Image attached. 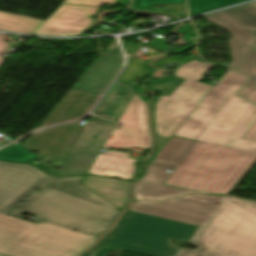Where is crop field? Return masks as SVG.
I'll use <instances>...</instances> for the list:
<instances>
[{
    "label": "crop field",
    "mask_w": 256,
    "mask_h": 256,
    "mask_svg": "<svg viewBox=\"0 0 256 256\" xmlns=\"http://www.w3.org/2000/svg\"><path fill=\"white\" fill-rule=\"evenodd\" d=\"M178 256H256V202L227 196Z\"/></svg>",
    "instance_id": "crop-field-1"
},
{
    "label": "crop field",
    "mask_w": 256,
    "mask_h": 256,
    "mask_svg": "<svg viewBox=\"0 0 256 256\" xmlns=\"http://www.w3.org/2000/svg\"><path fill=\"white\" fill-rule=\"evenodd\" d=\"M199 226L127 211L115 229L84 256H105L123 249L149 256H177L182 248L171 241L189 242Z\"/></svg>",
    "instance_id": "crop-field-2"
},
{
    "label": "crop field",
    "mask_w": 256,
    "mask_h": 256,
    "mask_svg": "<svg viewBox=\"0 0 256 256\" xmlns=\"http://www.w3.org/2000/svg\"><path fill=\"white\" fill-rule=\"evenodd\" d=\"M256 161V154L197 142L167 184L229 194Z\"/></svg>",
    "instance_id": "crop-field-3"
},
{
    "label": "crop field",
    "mask_w": 256,
    "mask_h": 256,
    "mask_svg": "<svg viewBox=\"0 0 256 256\" xmlns=\"http://www.w3.org/2000/svg\"><path fill=\"white\" fill-rule=\"evenodd\" d=\"M95 237L0 213V256H77Z\"/></svg>",
    "instance_id": "crop-field-4"
},
{
    "label": "crop field",
    "mask_w": 256,
    "mask_h": 256,
    "mask_svg": "<svg viewBox=\"0 0 256 256\" xmlns=\"http://www.w3.org/2000/svg\"><path fill=\"white\" fill-rule=\"evenodd\" d=\"M31 213L37 218L95 237L107 231L120 211L46 187L25 199L8 214Z\"/></svg>",
    "instance_id": "crop-field-5"
},
{
    "label": "crop field",
    "mask_w": 256,
    "mask_h": 256,
    "mask_svg": "<svg viewBox=\"0 0 256 256\" xmlns=\"http://www.w3.org/2000/svg\"><path fill=\"white\" fill-rule=\"evenodd\" d=\"M203 18L234 36L229 41L233 62L228 68L251 76L239 94L256 103V3Z\"/></svg>",
    "instance_id": "crop-field-6"
},
{
    "label": "crop field",
    "mask_w": 256,
    "mask_h": 256,
    "mask_svg": "<svg viewBox=\"0 0 256 256\" xmlns=\"http://www.w3.org/2000/svg\"><path fill=\"white\" fill-rule=\"evenodd\" d=\"M212 65L192 61L178 68L175 76L186 79L168 97L161 95L155 110V134L171 138L213 86L197 82ZM204 72V74H202Z\"/></svg>",
    "instance_id": "crop-field-7"
},
{
    "label": "crop field",
    "mask_w": 256,
    "mask_h": 256,
    "mask_svg": "<svg viewBox=\"0 0 256 256\" xmlns=\"http://www.w3.org/2000/svg\"><path fill=\"white\" fill-rule=\"evenodd\" d=\"M256 122V105L236 95L197 140L256 153V142L241 139Z\"/></svg>",
    "instance_id": "crop-field-8"
},
{
    "label": "crop field",
    "mask_w": 256,
    "mask_h": 256,
    "mask_svg": "<svg viewBox=\"0 0 256 256\" xmlns=\"http://www.w3.org/2000/svg\"><path fill=\"white\" fill-rule=\"evenodd\" d=\"M226 196L192 194L168 201L133 202L130 211L202 226Z\"/></svg>",
    "instance_id": "crop-field-9"
},
{
    "label": "crop field",
    "mask_w": 256,
    "mask_h": 256,
    "mask_svg": "<svg viewBox=\"0 0 256 256\" xmlns=\"http://www.w3.org/2000/svg\"><path fill=\"white\" fill-rule=\"evenodd\" d=\"M54 179L33 166L0 161V211L7 213L33 190L45 188Z\"/></svg>",
    "instance_id": "crop-field-10"
},
{
    "label": "crop field",
    "mask_w": 256,
    "mask_h": 256,
    "mask_svg": "<svg viewBox=\"0 0 256 256\" xmlns=\"http://www.w3.org/2000/svg\"><path fill=\"white\" fill-rule=\"evenodd\" d=\"M246 80V76L227 70L217 85L174 135L195 140L215 114Z\"/></svg>",
    "instance_id": "crop-field-11"
},
{
    "label": "crop field",
    "mask_w": 256,
    "mask_h": 256,
    "mask_svg": "<svg viewBox=\"0 0 256 256\" xmlns=\"http://www.w3.org/2000/svg\"><path fill=\"white\" fill-rule=\"evenodd\" d=\"M115 123L91 116L59 168L68 175L87 174Z\"/></svg>",
    "instance_id": "crop-field-12"
},
{
    "label": "crop field",
    "mask_w": 256,
    "mask_h": 256,
    "mask_svg": "<svg viewBox=\"0 0 256 256\" xmlns=\"http://www.w3.org/2000/svg\"><path fill=\"white\" fill-rule=\"evenodd\" d=\"M122 129L115 130L106 147L119 149L123 147H141L151 149L148 129L146 102L142 101L136 91L126 110L121 116Z\"/></svg>",
    "instance_id": "crop-field-13"
},
{
    "label": "crop field",
    "mask_w": 256,
    "mask_h": 256,
    "mask_svg": "<svg viewBox=\"0 0 256 256\" xmlns=\"http://www.w3.org/2000/svg\"><path fill=\"white\" fill-rule=\"evenodd\" d=\"M100 8L63 5L35 34L47 36H78L92 26Z\"/></svg>",
    "instance_id": "crop-field-14"
},
{
    "label": "crop field",
    "mask_w": 256,
    "mask_h": 256,
    "mask_svg": "<svg viewBox=\"0 0 256 256\" xmlns=\"http://www.w3.org/2000/svg\"><path fill=\"white\" fill-rule=\"evenodd\" d=\"M123 63L122 53L117 43L113 41L73 88L104 94L106 88L119 73Z\"/></svg>",
    "instance_id": "crop-field-15"
},
{
    "label": "crop field",
    "mask_w": 256,
    "mask_h": 256,
    "mask_svg": "<svg viewBox=\"0 0 256 256\" xmlns=\"http://www.w3.org/2000/svg\"><path fill=\"white\" fill-rule=\"evenodd\" d=\"M167 169L171 170L172 168L148 165L147 174L135 183V200H165L179 197L186 193L209 194L163 185L162 183L171 174L165 172Z\"/></svg>",
    "instance_id": "crop-field-16"
},
{
    "label": "crop field",
    "mask_w": 256,
    "mask_h": 256,
    "mask_svg": "<svg viewBox=\"0 0 256 256\" xmlns=\"http://www.w3.org/2000/svg\"><path fill=\"white\" fill-rule=\"evenodd\" d=\"M130 154L113 152L99 154L88 174H99L131 180L136 168L132 164L138 159L128 158Z\"/></svg>",
    "instance_id": "crop-field-17"
},
{
    "label": "crop field",
    "mask_w": 256,
    "mask_h": 256,
    "mask_svg": "<svg viewBox=\"0 0 256 256\" xmlns=\"http://www.w3.org/2000/svg\"><path fill=\"white\" fill-rule=\"evenodd\" d=\"M136 89L117 81L93 114L118 122Z\"/></svg>",
    "instance_id": "crop-field-18"
},
{
    "label": "crop field",
    "mask_w": 256,
    "mask_h": 256,
    "mask_svg": "<svg viewBox=\"0 0 256 256\" xmlns=\"http://www.w3.org/2000/svg\"><path fill=\"white\" fill-rule=\"evenodd\" d=\"M82 184L119 208H124L128 202V182L98 176H86Z\"/></svg>",
    "instance_id": "crop-field-19"
},
{
    "label": "crop field",
    "mask_w": 256,
    "mask_h": 256,
    "mask_svg": "<svg viewBox=\"0 0 256 256\" xmlns=\"http://www.w3.org/2000/svg\"><path fill=\"white\" fill-rule=\"evenodd\" d=\"M195 143L196 141L174 137L150 164L177 168Z\"/></svg>",
    "instance_id": "crop-field-20"
},
{
    "label": "crop field",
    "mask_w": 256,
    "mask_h": 256,
    "mask_svg": "<svg viewBox=\"0 0 256 256\" xmlns=\"http://www.w3.org/2000/svg\"><path fill=\"white\" fill-rule=\"evenodd\" d=\"M85 176H77V177H58L54 180L48 187L54 188L56 190L62 191L67 194H71L74 196H78L95 203L119 209L116 206L112 205L102 197L98 196L84 185H82V181L84 180ZM121 210V209H119Z\"/></svg>",
    "instance_id": "crop-field-21"
},
{
    "label": "crop field",
    "mask_w": 256,
    "mask_h": 256,
    "mask_svg": "<svg viewBox=\"0 0 256 256\" xmlns=\"http://www.w3.org/2000/svg\"><path fill=\"white\" fill-rule=\"evenodd\" d=\"M44 21L0 12V30L32 34Z\"/></svg>",
    "instance_id": "crop-field-22"
},
{
    "label": "crop field",
    "mask_w": 256,
    "mask_h": 256,
    "mask_svg": "<svg viewBox=\"0 0 256 256\" xmlns=\"http://www.w3.org/2000/svg\"><path fill=\"white\" fill-rule=\"evenodd\" d=\"M16 143L0 150V160L27 163L39 158Z\"/></svg>",
    "instance_id": "crop-field-23"
},
{
    "label": "crop field",
    "mask_w": 256,
    "mask_h": 256,
    "mask_svg": "<svg viewBox=\"0 0 256 256\" xmlns=\"http://www.w3.org/2000/svg\"><path fill=\"white\" fill-rule=\"evenodd\" d=\"M243 1L246 0H189V7L192 16Z\"/></svg>",
    "instance_id": "crop-field-24"
},
{
    "label": "crop field",
    "mask_w": 256,
    "mask_h": 256,
    "mask_svg": "<svg viewBox=\"0 0 256 256\" xmlns=\"http://www.w3.org/2000/svg\"><path fill=\"white\" fill-rule=\"evenodd\" d=\"M146 63L138 58L128 57V66L120 75L119 80L129 83L136 77L146 76L152 71L145 68Z\"/></svg>",
    "instance_id": "crop-field-25"
},
{
    "label": "crop field",
    "mask_w": 256,
    "mask_h": 256,
    "mask_svg": "<svg viewBox=\"0 0 256 256\" xmlns=\"http://www.w3.org/2000/svg\"><path fill=\"white\" fill-rule=\"evenodd\" d=\"M64 3L92 5L99 7L102 5L124 6L129 3V0H66Z\"/></svg>",
    "instance_id": "crop-field-26"
},
{
    "label": "crop field",
    "mask_w": 256,
    "mask_h": 256,
    "mask_svg": "<svg viewBox=\"0 0 256 256\" xmlns=\"http://www.w3.org/2000/svg\"><path fill=\"white\" fill-rule=\"evenodd\" d=\"M138 8L153 7L157 4L185 3V0H136Z\"/></svg>",
    "instance_id": "crop-field-27"
},
{
    "label": "crop field",
    "mask_w": 256,
    "mask_h": 256,
    "mask_svg": "<svg viewBox=\"0 0 256 256\" xmlns=\"http://www.w3.org/2000/svg\"><path fill=\"white\" fill-rule=\"evenodd\" d=\"M6 36L7 35H5V34H0V55L3 54L8 48V43L4 42ZM2 60H3L2 57H0V64H1Z\"/></svg>",
    "instance_id": "crop-field-28"
},
{
    "label": "crop field",
    "mask_w": 256,
    "mask_h": 256,
    "mask_svg": "<svg viewBox=\"0 0 256 256\" xmlns=\"http://www.w3.org/2000/svg\"><path fill=\"white\" fill-rule=\"evenodd\" d=\"M157 138V150L154 154V156H157L158 153L161 151V149L165 146V144L168 142V138H163V137H158L156 136Z\"/></svg>",
    "instance_id": "crop-field-29"
},
{
    "label": "crop field",
    "mask_w": 256,
    "mask_h": 256,
    "mask_svg": "<svg viewBox=\"0 0 256 256\" xmlns=\"http://www.w3.org/2000/svg\"><path fill=\"white\" fill-rule=\"evenodd\" d=\"M122 42H123V45H124V47L126 49V53L127 54H134L135 51L139 47L137 44H133V43H129V42H124V41H122Z\"/></svg>",
    "instance_id": "crop-field-30"
},
{
    "label": "crop field",
    "mask_w": 256,
    "mask_h": 256,
    "mask_svg": "<svg viewBox=\"0 0 256 256\" xmlns=\"http://www.w3.org/2000/svg\"><path fill=\"white\" fill-rule=\"evenodd\" d=\"M243 138L256 141V123L251 127V129L245 134Z\"/></svg>",
    "instance_id": "crop-field-31"
},
{
    "label": "crop field",
    "mask_w": 256,
    "mask_h": 256,
    "mask_svg": "<svg viewBox=\"0 0 256 256\" xmlns=\"http://www.w3.org/2000/svg\"><path fill=\"white\" fill-rule=\"evenodd\" d=\"M61 6H62V5H61ZM61 6H60V7H61ZM60 7H59V8H60ZM59 8H58V9H59ZM58 9H57V10H58ZM57 10H56V11H57ZM56 11H55V12H56ZM35 32H36V31H35ZM35 32H34V33H35ZM34 33H33V34H34Z\"/></svg>",
    "instance_id": "crop-field-32"
}]
</instances>
